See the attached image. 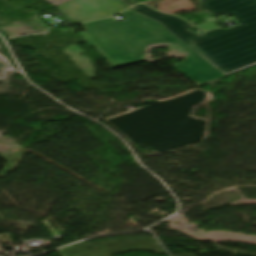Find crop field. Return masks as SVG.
Masks as SVG:
<instances>
[{"mask_svg": "<svg viewBox=\"0 0 256 256\" xmlns=\"http://www.w3.org/2000/svg\"><path fill=\"white\" fill-rule=\"evenodd\" d=\"M211 13L234 14L241 25L196 35L183 20L161 14L145 5L133 10L161 22L190 47L229 75L256 65V0H201Z\"/></svg>", "mask_w": 256, "mask_h": 256, "instance_id": "1", "label": "crop field"}, {"mask_svg": "<svg viewBox=\"0 0 256 256\" xmlns=\"http://www.w3.org/2000/svg\"><path fill=\"white\" fill-rule=\"evenodd\" d=\"M119 15L126 21L118 22L111 18L84 23L87 31L80 33L89 46H94L113 68L144 61L143 49L149 44L172 42L190 53L173 68L197 86L225 77L159 23L130 9Z\"/></svg>", "mask_w": 256, "mask_h": 256, "instance_id": "2", "label": "crop field"}, {"mask_svg": "<svg viewBox=\"0 0 256 256\" xmlns=\"http://www.w3.org/2000/svg\"><path fill=\"white\" fill-rule=\"evenodd\" d=\"M72 23L115 15L128 7L121 0H74L58 6Z\"/></svg>", "mask_w": 256, "mask_h": 256, "instance_id": "3", "label": "crop field"}, {"mask_svg": "<svg viewBox=\"0 0 256 256\" xmlns=\"http://www.w3.org/2000/svg\"><path fill=\"white\" fill-rule=\"evenodd\" d=\"M48 1H50L54 5L58 6L60 4L66 3V2L71 1V0H48Z\"/></svg>", "mask_w": 256, "mask_h": 256, "instance_id": "4", "label": "crop field"}, {"mask_svg": "<svg viewBox=\"0 0 256 256\" xmlns=\"http://www.w3.org/2000/svg\"><path fill=\"white\" fill-rule=\"evenodd\" d=\"M127 3H128V5H134V3L133 2H131L130 0H125Z\"/></svg>", "mask_w": 256, "mask_h": 256, "instance_id": "5", "label": "crop field"}]
</instances>
